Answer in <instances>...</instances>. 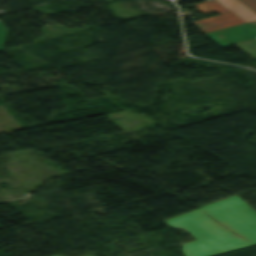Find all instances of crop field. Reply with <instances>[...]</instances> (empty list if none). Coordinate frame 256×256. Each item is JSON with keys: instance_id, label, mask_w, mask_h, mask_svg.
<instances>
[{"instance_id": "1", "label": "crop field", "mask_w": 256, "mask_h": 256, "mask_svg": "<svg viewBox=\"0 0 256 256\" xmlns=\"http://www.w3.org/2000/svg\"><path fill=\"white\" fill-rule=\"evenodd\" d=\"M166 222L197 239L182 244L186 256H207L256 243V211L237 195Z\"/></svg>"}, {"instance_id": "2", "label": "crop field", "mask_w": 256, "mask_h": 256, "mask_svg": "<svg viewBox=\"0 0 256 256\" xmlns=\"http://www.w3.org/2000/svg\"><path fill=\"white\" fill-rule=\"evenodd\" d=\"M205 14L212 11L221 14L215 15L192 24L202 32L220 29L256 19V13L244 6L238 0H209L194 4Z\"/></svg>"}, {"instance_id": "3", "label": "crop field", "mask_w": 256, "mask_h": 256, "mask_svg": "<svg viewBox=\"0 0 256 256\" xmlns=\"http://www.w3.org/2000/svg\"><path fill=\"white\" fill-rule=\"evenodd\" d=\"M205 34L222 47L256 39V20ZM217 34L223 37L219 38Z\"/></svg>"}, {"instance_id": "4", "label": "crop field", "mask_w": 256, "mask_h": 256, "mask_svg": "<svg viewBox=\"0 0 256 256\" xmlns=\"http://www.w3.org/2000/svg\"><path fill=\"white\" fill-rule=\"evenodd\" d=\"M237 47L256 58V40L237 44Z\"/></svg>"}, {"instance_id": "5", "label": "crop field", "mask_w": 256, "mask_h": 256, "mask_svg": "<svg viewBox=\"0 0 256 256\" xmlns=\"http://www.w3.org/2000/svg\"><path fill=\"white\" fill-rule=\"evenodd\" d=\"M256 11V0H241Z\"/></svg>"}, {"instance_id": "6", "label": "crop field", "mask_w": 256, "mask_h": 256, "mask_svg": "<svg viewBox=\"0 0 256 256\" xmlns=\"http://www.w3.org/2000/svg\"><path fill=\"white\" fill-rule=\"evenodd\" d=\"M5 32H6V29L4 28L2 22H0V38L2 39L5 38Z\"/></svg>"}, {"instance_id": "7", "label": "crop field", "mask_w": 256, "mask_h": 256, "mask_svg": "<svg viewBox=\"0 0 256 256\" xmlns=\"http://www.w3.org/2000/svg\"><path fill=\"white\" fill-rule=\"evenodd\" d=\"M3 42L4 40L0 39V50L2 49Z\"/></svg>"}, {"instance_id": "8", "label": "crop field", "mask_w": 256, "mask_h": 256, "mask_svg": "<svg viewBox=\"0 0 256 256\" xmlns=\"http://www.w3.org/2000/svg\"><path fill=\"white\" fill-rule=\"evenodd\" d=\"M56 256H59V255H56ZM92 256V255H91Z\"/></svg>"}]
</instances>
